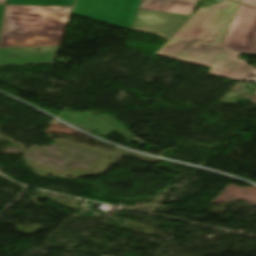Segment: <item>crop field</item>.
Returning a JSON list of instances; mask_svg holds the SVG:
<instances>
[{"instance_id": "crop-field-4", "label": "crop field", "mask_w": 256, "mask_h": 256, "mask_svg": "<svg viewBox=\"0 0 256 256\" xmlns=\"http://www.w3.org/2000/svg\"><path fill=\"white\" fill-rule=\"evenodd\" d=\"M221 45L239 53H256V8L240 5Z\"/></svg>"}, {"instance_id": "crop-field-8", "label": "crop field", "mask_w": 256, "mask_h": 256, "mask_svg": "<svg viewBox=\"0 0 256 256\" xmlns=\"http://www.w3.org/2000/svg\"><path fill=\"white\" fill-rule=\"evenodd\" d=\"M75 0H8L7 4L69 6Z\"/></svg>"}, {"instance_id": "crop-field-13", "label": "crop field", "mask_w": 256, "mask_h": 256, "mask_svg": "<svg viewBox=\"0 0 256 256\" xmlns=\"http://www.w3.org/2000/svg\"><path fill=\"white\" fill-rule=\"evenodd\" d=\"M238 1H240V0H238Z\"/></svg>"}, {"instance_id": "crop-field-11", "label": "crop field", "mask_w": 256, "mask_h": 256, "mask_svg": "<svg viewBox=\"0 0 256 256\" xmlns=\"http://www.w3.org/2000/svg\"><path fill=\"white\" fill-rule=\"evenodd\" d=\"M242 2L256 6V0H243Z\"/></svg>"}, {"instance_id": "crop-field-2", "label": "crop field", "mask_w": 256, "mask_h": 256, "mask_svg": "<svg viewBox=\"0 0 256 256\" xmlns=\"http://www.w3.org/2000/svg\"><path fill=\"white\" fill-rule=\"evenodd\" d=\"M71 9L6 5L0 65L54 63Z\"/></svg>"}, {"instance_id": "crop-field-10", "label": "crop field", "mask_w": 256, "mask_h": 256, "mask_svg": "<svg viewBox=\"0 0 256 256\" xmlns=\"http://www.w3.org/2000/svg\"><path fill=\"white\" fill-rule=\"evenodd\" d=\"M4 8L5 6H0V29H1L2 19H3Z\"/></svg>"}, {"instance_id": "crop-field-7", "label": "crop field", "mask_w": 256, "mask_h": 256, "mask_svg": "<svg viewBox=\"0 0 256 256\" xmlns=\"http://www.w3.org/2000/svg\"><path fill=\"white\" fill-rule=\"evenodd\" d=\"M197 0H143L139 9L189 15Z\"/></svg>"}, {"instance_id": "crop-field-6", "label": "crop field", "mask_w": 256, "mask_h": 256, "mask_svg": "<svg viewBox=\"0 0 256 256\" xmlns=\"http://www.w3.org/2000/svg\"><path fill=\"white\" fill-rule=\"evenodd\" d=\"M63 116L73 120L74 122L84 126L90 127L98 132V134L106 137L113 132H118L127 138L134 137L126 128L118 123L109 114L94 115L90 112L83 114L76 112H66Z\"/></svg>"}, {"instance_id": "crop-field-12", "label": "crop field", "mask_w": 256, "mask_h": 256, "mask_svg": "<svg viewBox=\"0 0 256 256\" xmlns=\"http://www.w3.org/2000/svg\"><path fill=\"white\" fill-rule=\"evenodd\" d=\"M5 0H0V4H4Z\"/></svg>"}, {"instance_id": "crop-field-1", "label": "crop field", "mask_w": 256, "mask_h": 256, "mask_svg": "<svg viewBox=\"0 0 256 256\" xmlns=\"http://www.w3.org/2000/svg\"><path fill=\"white\" fill-rule=\"evenodd\" d=\"M239 3L222 0L199 9L155 54L212 68L208 74L240 81L253 68L219 46Z\"/></svg>"}, {"instance_id": "crop-field-3", "label": "crop field", "mask_w": 256, "mask_h": 256, "mask_svg": "<svg viewBox=\"0 0 256 256\" xmlns=\"http://www.w3.org/2000/svg\"><path fill=\"white\" fill-rule=\"evenodd\" d=\"M141 0H76L72 14L131 28Z\"/></svg>"}, {"instance_id": "crop-field-9", "label": "crop field", "mask_w": 256, "mask_h": 256, "mask_svg": "<svg viewBox=\"0 0 256 256\" xmlns=\"http://www.w3.org/2000/svg\"><path fill=\"white\" fill-rule=\"evenodd\" d=\"M243 80L256 82V66L249 72V74Z\"/></svg>"}, {"instance_id": "crop-field-5", "label": "crop field", "mask_w": 256, "mask_h": 256, "mask_svg": "<svg viewBox=\"0 0 256 256\" xmlns=\"http://www.w3.org/2000/svg\"><path fill=\"white\" fill-rule=\"evenodd\" d=\"M191 16L139 10L131 29L171 38Z\"/></svg>"}]
</instances>
